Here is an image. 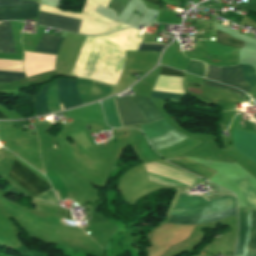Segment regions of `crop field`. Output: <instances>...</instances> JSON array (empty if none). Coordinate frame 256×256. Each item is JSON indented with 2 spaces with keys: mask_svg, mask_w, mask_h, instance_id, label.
Returning a JSON list of instances; mask_svg holds the SVG:
<instances>
[{
  "mask_svg": "<svg viewBox=\"0 0 256 256\" xmlns=\"http://www.w3.org/2000/svg\"><path fill=\"white\" fill-rule=\"evenodd\" d=\"M0 52L15 53L9 22H3L0 25Z\"/></svg>",
  "mask_w": 256,
  "mask_h": 256,
  "instance_id": "obj_17",
  "label": "crop field"
},
{
  "mask_svg": "<svg viewBox=\"0 0 256 256\" xmlns=\"http://www.w3.org/2000/svg\"><path fill=\"white\" fill-rule=\"evenodd\" d=\"M147 139L162 136L172 130L171 126L167 123L165 119L158 122L141 125ZM186 138V136L172 130L170 133L163 137L150 139L149 142L154 150H159L166 148L170 145L176 144Z\"/></svg>",
  "mask_w": 256,
  "mask_h": 256,
  "instance_id": "obj_7",
  "label": "crop field"
},
{
  "mask_svg": "<svg viewBox=\"0 0 256 256\" xmlns=\"http://www.w3.org/2000/svg\"><path fill=\"white\" fill-rule=\"evenodd\" d=\"M128 1L129 0H111V2L108 5V8L113 9L117 17Z\"/></svg>",
  "mask_w": 256,
  "mask_h": 256,
  "instance_id": "obj_25",
  "label": "crop field"
},
{
  "mask_svg": "<svg viewBox=\"0 0 256 256\" xmlns=\"http://www.w3.org/2000/svg\"><path fill=\"white\" fill-rule=\"evenodd\" d=\"M158 164V163H156ZM156 164H150V165H146L147 166V170L149 172H152V173H155V174H158V175H161L163 177H166V178H169V179H172V180H175V181H178V182H181L183 184H186V185H189V186H192L193 182H194V178L195 176L193 175H190V174H187V175H190V176H193V177H190V176H187V175H184L182 173H179V172H176V171H173V170H170V169H167V168H164L162 166H159V165H156ZM146 170V172H147ZM147 172V178L149 181H152V182H156L160 185H165V186H181V187H189V186H186V185H183V184H180L178 182H175V181H172V180H169V179H166V178H163V177H160L158 175H155V174H152V173H149Z\"/></svg>",
  "mask_w": 256,
  "mask_h": 256,
  "instance_id": "obj_9",
  "label": "crop field"
},
{
  "mask_svg": "<svg viewBox=\"0 0 256 256\" xmlns=\"http://www.w3.org/2000/svg\"><path fill=\"white\" fill-rule=\"evenodd\" d=\"M239 231L235 255L256 256V211L238 208Z\"/></svg>",
  "mask_w": 256,
  "mask_h": 256,
  "instance_id": "obj_5",
  "label": "crop field"
},
{
  "mask_svg": "<svg viewBox=\"0 0 256 256\" xmlns=\"http://www.w3.org/2000/svg\"><path fill=\"white\" fill-rule=\"evenodd\" d=\"M64 38L43 33L35 51L57 54Z\"/></svg>",
  "mask_w": 256,
  "mask_h": 256,
  "instance_id": "obj_15",
  "label": "crop field"
},
{
  "mask_svg": "<svg viewBox=\"0 0 256 256\" xmlns=\"http://www.w3.org/2000/svg\"><path fill=\"white\" fill-rule=\"evenodd\" d=\"M217 34V40L219 44L227 45V46H232V47H237V48H242L243 47V42L230 36L225 33H222L220 31H216Z\"/></svg>",
  "mask_w": 256,
  "mask_h": 256,
  "instance_id": "obj_22",
  "label": "crop field"
},
{
  "mask_svg": "<svg viewBox=\"0 0 256 256\" xmlns=\"http://www.w3.org/2000/svg\"><path fill=\"white\" fill-rule=\"evenodd\" d=\"M0 117H6V116L0 113Z\"/></svg>",
  "mask_w": 256,
  "mask_h": 256,
  "instance_id": "obj_30",
  "label": "crop field"
},
{
  "mask_svg": "<svg viewBox=\"0 0 256 256\" xmlns=\"http://www.w3.org/2000/svg\"><path fill=\"white\" fill-rule=\"evenodd\" d=\"M166 160L206 179H208L213 174H215V172L203 166H200L186 158H175V159H166Z\"/></svg>",
  "mask_w": 256,
  "mask_h": 256,
  "instance_id": "obj_16",
  "label": "crop field"
},
{
  "mask_svg": "<svg viewBox=\"0 0 256 256\" xmlns=\"http://www.w3.org/2000/svg\"><path fill=\"white\" fill-rule=\"evenodd\" d=\"M141 112L146 117L148 123L162 119L157 108L149 98L131 96ZM130 96L116 98V103L124 126L133 124H146L147 121ZM107 124L113 128L121 127V122L117 113L114 100L102 103Z\"/></svg>",
  "mask_w": 256,
  "mask_h": 256,
  "instance_id": "obj_3",
  "label": "crop field"
},
{
  "mask_svg": "<svg viewBox=\"0 0 256 256\" xmlns=\"http://www.w3.org/2000/svg\"><path fill=\"white\" fill-rule=\"evenodd\" d=\"M57 85L59 103L62 104L64 110L82 105L80 98L76 92V80L58 79Z\"/></svg>",
  "mask_w": 256,
  "mask_h": 256,
  "instance_id": "obj_13",
  "label": "crop field"
},
{
  "mask_svg": "<svg viewBox=\"0 0 256 256\" xmlns=\"http://www.w3.org/2000/svg\"><path fill=\"white\" fill-rule=\"evenodd\" d=\"M165 45L141 44L138 51H156L161 52Z\"/></svg>",
  "mask_w": 256,
  "mask_h": 256,
  "instance_id": "obj_26",
  "label": "crop field"
},
{
  "mask_svg": "<svg viewBox=\"0 0 256 256\" xmlns=\"http://www.w3.org/2000/svg\"><path fill=\"white\" fill-rule=\"evenodd\" d=\"M77 91L83 105L105 98L111 93L109 85L85 79H77Z\"/></svg>",
  "mask_w": 256,
  "mask_h": 256,
  "instance_id": "obj_11",
  "label": "crop field"
},
{
  "mask_svg": "<svg viewBox=\"0 0 256 256\" xmlns=\"http://www.w3.org/2000/svg\"><path fill=\"white\" fill-rule=\"evenodd\" d=\"M235 147L256 162V134L234 131Z\"/></svg>",
  "mask_w": 256,
  "mask_h": 256,
  "instance_id": "obj_14",
  "label": "crop field"
},
{
  "mask_svg": "<svg viewBox=\"0 0 256 256\" xmlns=\"http://www.w3.org/2000/svg\"><path fill=\"white\" fill-rule=\"evenodd\" d=\"M81 20L39 11L37 24L77 32Z\"/></svg>",
  "mask_w": 256,
  "mask_h": 256,
  "instance_id": "obj_12",
  "label": "crop field"
},
{
  "mask_svg": "<svg viewBox=\"0 0 256 256\" xmlns=\"http://www.w3.org/2000/svg\"><path fill=\"white\" fill-rule=\"evenodd\" d=\"M32 196L36 197L50 188V185L19 163L14 161V165L11 169L9 176Z\"/></svg>",
  "mask_w": 256,
  "mask_h": 256,
  "instance_id": "obj_8",
  "label": "crop field"
},
{
  "mask_svg": "<svg viewBox=\"0 0 256 256\" xmlns=\"http://www.w3.org/2000/svg\"><path fill=\"white\" fill-rule=\"evenodd\" d=\"M244 78L249 87L256 85V73L251 65H243ZM242 65L221 68V82L236 86L248 93L249 88L243 79ZM207 78L220 82V68L209 66Z\"/></svg>",
  "mask_w": 256,
  "mask_h": 256,
  "instance_id": "obj_6",
  "label": "crop field"
},
{
  "mask_svg": "<svg viewBox=\"0 0 256 256\" xmlns=\"http://www.w3.org/2000/svg\"><path fill=\"white\" fill-rule=\"evenodd\" d=\"M145 1H147V2H150V3H153V4L157 5V4H158V2H159L160 0H145Z\"/></svg>",
  "mask_w": 256,
  "mask_h": 256,
  "instance_id": "obj_28",
  "label": "crop field"
},
{
  "mask_svg": "<svg viewBox=\"0 0 256 256\" xmlns=\"http://www.w3.org/2000/svg\"><path fill=\"white\" fill-rule=\"evenodd\" d=\"M159 74L163 75H170V76H178L182 77L183 73L177 70H173L167 67L161 66V71ZM184 94H176V93H164V92H156L152 91L151 95L152 97H157L169 101L179 102V100L182 98Z\"/></svg>",
  "mask_w": 256,
  "mask_h": 256,
  "instance_id": "obj_18",
  "label": "crop field"
},
{
  "mask_svg": "<svg viewBox=\"0 0 256 256\" xmlns=\"http://www.w3.org/2000/svg\"><path fill=\"white\" fill-rule=\"evenodd\" d=\"M23 78H25L23 73L0 70V82L2 83H9Z\"/></svg>",
  "mask_w": 256,
  "mask_h": 256,
  "instance_id": "obj_23",
  "label": "crop field"
},
{
  "mask_svg": "<svg viewBox=\"0 0 256 256\" xmlns=\"http://www.w3.org/2000/svg\"><path fill=\"white\" fill-rule=\"evenodd\" d=\"M57 197H58V200H63V199L61 198V195H58Z\"/></svg>",
  "mask_w": 256,
  "mask_h": 256,
  "instance_id": "obj_29",
  "label": "crop field"
},
{
  "mask_svg": "<svg viewBox=\"0 0 256 256\" xmlns=\"http://www.w3.org/2000/svg\"><path fill=\"white\" fill-rule=\"evenodd\" d=\"M235 184L243 192L250 207L256 208V193L246 178L234 180Z\"/></svg>",
  "mask_w": 256,
  "mask_h": 256,
  "instance_id": "obj_19",
  "label": "crop field"
},
{
  "mask_svg": "<svg viewBox=\"0 0 256 256\" xmlns=\"http://www.w3.org/2000/svg\"><path fill=\"white\" fill-rule=\"evenodd\" d=\"M97 7V5L86 0L81 13L64 11L42 5H40L39 10L82 19L79 33L83 34L96 35L129 27L122 23L113 22L101 17L94 12Z\"/></svg>",
  "mask_w": 256,
  "mask_h": 256,
  "instance_id": "obj_4",
  "label": "crop field"
},
{
  "mask_svg": "<svg viewBox=\"0 0 256 256\" xmlns=\"http://www.w3.org/2000/svg\"><path fill=\"white\" fill-rule=\"evenodd\" d=\"M39 4L37 2L26 0H0L1 6H17ZM39 5L17 6V7H1L0 20H17V19H33L37 16Z\"/></svg>",
  "mask_w": 256,
  "mask_h": 256,
  "instance_id": "obj_10",
  "label": "crop field"
},
{
  "mask_svg": "<svg viewBox=\"0 0 256 256\" xmlns=\"http://www.w3.org/2000/svg\"><path fill=\"white\" fill-rule=\"evenodd\" d=\"M236 207L235 197L223 196L207 201L197 196H175L170 215H203ZM236 216V208L203 216H170L172 222L198 224Z\"/></svg>",
  "mask_w": 256,
  "mask_h": 256,
  "instance_id": "obj_2",
  "label": "crop field"
},
{
  "mask_svg": "<svg viewBox=\"0 0 256 256\" xmlns=\"http://www.w3.org/2000/svg\"><path fill=\"white\" fill-rule=\"evenodd\" d=\"M46 88L47 84L41 88L35 101L37 116L49 113L45 99Z\"/></svg>",
  "mask_w": 256,
  "mask_h": 256,
  "instance_id": "obj_21",
  "label": "crop field"
},
{
  "mask_svg": "<svg viewBox=\"0 0 256 256\" xmlns=\"http://www.w3.org/2000/svg\"><path fill=\"white\" fill-rule=\"evenodd\" d=\"M92 1L102 5L104 7H107L108 3L110 2V0H92Z\"/></svg>",
  "mask_w": 256,
  "mask_h": 256,
  "instance_id": "obj_27",
  "label": "crop field"
},
{
  "mask_svg": "<svg viewBox=\"0 0 256 256\" xmlns=\"http://www.w3.org/2000/svg\"><path fill=\"white\" fill-rule=\"evenodd\" d=\"M139 31H122L87 36L69 77H80L117 85L124 66L125 50L136 51L142 37Z\"/></svg>",
  "mask_w": 256,
  "mask_h": 256,
  "instance_id": "obj_1",
  "label": "crop field"
},
{
  "mask_svg": "<svg viewBox=\"0 0 256 256\" xmlns=\"http://www.w3.org/2000/svg\"><path fill=\"white\" fill-rule=\"evenodd\" d=\"M205 85H208L210 87L217 88V89L228 90V91L232 92L233 94L239 96L241 99H244V97L246 95L235 88L225 86V85H222V84H219V83L207 80V79L205 81Z\"/></svg>",
  "mask_w": 256,
  "mask_h": 256,
  "instance_id": "obj_24",
  "label": "crop field"
},
{
  "mask_svg": "<svg viewBox=\"0 0 256 256\" xmlns=\"http://www.w3.org/2000/svg\"><path fill=\"white\" fill-rule=\"evenodd\" d=\"M46 99L50 113L61 110L58 103L56 81L48 84Z\"/></svg>",
  "mask_w": 256,
  "mask_h": 256,
  "instance_id": "obj_20",
  "label": "crop field"
}]
</instances>
